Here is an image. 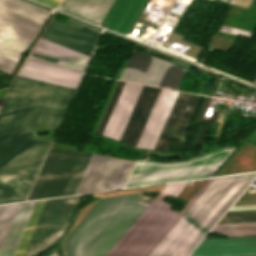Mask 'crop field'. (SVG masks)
<instances>
[{"label": "crop field", "instance_id": "crop-field-1", "mask_svg": "<svg viewBox=\"0 0 256 256\" xmlns=\"http://www.w3.org/2000/svg\"><path fill=\"white\" fill-rule=\"evenodd\" d=\"M73 89L15 77L0 111V204L25 201L51 144L28 137L35 123L59 127Z\"/></svg>", "mask_w": 256, "mask_h": 256}, {"label": "crop field", "instance_id": "crop-field-2", "mask_svg": "<svg viewBox=\"0 0 256 256\" xmlns=\"http://www.w3.org/2000/svg\"><path fill=\"white\" fill-rule=\"evenodd\" d=\"M255 176L208 179L142 256H187Z\"/></svg>", "mask_w": 256, "mask_h": 256}, {"label": "crop field", "instance_id": "crop-field-3", "mask_svg": "<svg viewBox=\"0 0 256 256\" xmlns=\"http://www.w3.org/2000/svg\"><path fill=\"white\" fill-rule=\"evenodd\" d=\"M125 82L119 81L97 129L102 133ZM142 85L125 83L103 135L119 139ZM159 88L142 86L119 141L135 145ZM179 92L161 89L135 146L154 149Z\"/></svg>", "mask_w": 256, "mask_h": 256}, {"label": "crop field", "instance_id": "crop-field-4", "mask_svg": "<svg viewBox=\"0 0 256 256\" xmlns=\"http://www.w3.org/2000/svg\"><path fill=\"white\" fill-rule=\"evenodd\" d=\"M141 193L100 198L66 239L68 256H105L148 204Z\"/></svg>", "mask_w": 256, "mask_h": 256}, {"label": "crop field", "instance_id": "crop-field-5", "mask_svg": "<svg viewBox=\"0 0 256 256\" xmlns=\"http://www.w3.org/2000/svg\"><path fill=\"white\" fill-rule=\"evenodd\" d=\"M50 15L20 0H0V70L12 74Z\"/></svg>", "mask_w": 256, "mask_h": 256}, {"label": "crop field", "instance_id": "crop-field-6", "mask_svg": "<svg viewBox=\"0 0 256 256\" xmlns=\"http://www.w3.org/2000/svg\"><path fill=\"white\" fill-rule=\"evenodd\" d=\"M187 183L167 184L106 256H141L177 214L163 200L176 197Z\"/></svg>", "mask_w": 256, "mask_h": 256}, {"label": "crop field", "instance_id": "crop-field-7", "mask_svg": "<svg viewBox=\"0 0 256 256\" xmlns=\"http://www.w3.org/2000/svg\"><path fill=\"white\" fill-rule=\"evenodd\" d=\"M234 149L225 147L190 161L137 162L126 187L211 177Z\"/></svg>", "mask_w": 256, "mask_h": 256}, {"label": "crop field", "instance_id": "crop-field-8", "mask_svg": "<svg viewBox=\"0 0 256 256\" xmlns=\"http://www.w3.org/2000/svg\"><path fill=\"white\" fill-rule=\"evenodd\" d=\"M81 196L47 200L25 256H35L57 244L80 205Z\"/></svg>", "mask_w": 256, "mask_h": 256}, {"label": "crop field", "instance_id": "crop-field-9", "mask_svg": "<svg viewBox=\"0 0 256 256\" xmlns=\"http://www.w3.org/2000/svg\"><path fill=\"white\" fill-rule=\"evenodd\" d=\"M81 154L51 147L27 200L62 196Z\"/></svg>", "mask_w": 256, "mask_h": 256}, {"label": "crop field", "instance_id": "crop-field-10", "mask_svg": "<svg viewBox=\"0 0 256 256\" xmlns=\"http://www.w3.org/2000/svg\"><path fill=\"white\" fill-rule=\"evenodd\" d=\"M185 71L186 68L134 49L120 79L177 90Z\"/></svg>", "mask_w": 256, "mask_h": 256}, {"label": "crop field", "instance_id": "crop-field-11", "mask_svg": "<svg viewBox=\"0 0 256 256\" xmlns=\"http://www.w3.org/2000/svg\"><path fill=\"white\" fill-rule=\"evenodd\" d=\"M133 163L93 155L75 194L122 188Z\"/></svg>", "mask_w": 256, "mask_h": 256}, {"label": "crop field", "instance_id": "crop-field-12", "mask_svg": "<svg viewBox=\"0 0 256 256\" xmlns=\"http://www.w3.org/2000/svg\"><path fill=\"white\" fill-rule=\"evenodd\" d=\"M201 97L179 93L154 150L166 151L171 139H183Z\"/></svg>", "mask_w": 256, "mask_h": 256}, {"label": "crop field", "instance_id": "crop-field-13", "mask_svg": "<svg viewBox=\"0 0 256 256\" xmlns=\"http://www.w3.org/2000/svg\"><path fill=\"white\" fill-rule=\"evenodd\" d=\"M100 34L70 20L65 24L53 20L42 37L90 55Z\"/></svg>", "mask_w": 256, "mask_h": 256}, {"label": "crop field", "instance_id": "crop-field-14", "mask_svg": "<svg viewBox=\"0 0 256 256\" xmlns=\"http://www.w3.org/2000/svg\"><path fill=\"white\" fill-rule=\"evenodd\" d=\"M44 38L41 37L39 39V41L34 46L33 51L52 57L59 61L57 63H54L31 57L27 58L28 61L55 66L81 73L84 72L87 62L90 58L89 55L78 52L76 50H73L71 48L65 47L63 45L57 44Z\"/></svg>", "mask_w": 256, "mask_h": 256}, {"label": "crop field", "instance_id": "crop-field-15", "mask_svg": "<svg viewBox=\"0 0 256 256\" xmlns=\"http://www.w3.org/2000/svg\"><path fill=\"white\" fill-rule=\"evenodd\" d=\"M191 256H256V236L204 239Z\"/></svg>", "mask_w": 256, "mask_h": 256}, {"label": "crop field", "instance_id": "crop-field-16", "mask_svg": "<svg viewBox=\"0 0 256 256\" xmlns=\"http://www.w3.org/2000/svg\"><path fill=\"white\" fill-rule=\"evenodd\" d=\"M146 0H114L101 26L126 35Z\"/></svg>", "mask_w": 256, "mask_h": 256}, {"label": "crop field", "instance_id": "crop-field-17", "mask_svg": "<svg viewBox=\"0 0 256 256\" xmlns=\"http://www.w3.org/2000/svg\"><path fill=\"white\" fill-rule=\"evenodd\" d=\"M18 76L45 81L69 88H76L82 74L25 61Z\"/></svg>", "mask_w": 256, "mask_h": 256}, {"label": "crop field", "instance_id": "crop-field-18", "mask_svg": "<svg viewBox=\"0 0 256 256\" xmlns=\"http://www.w3.org/2000/svg\"><path fill=\"white\" fill-rule=\"evenodd\" d=\"M35 202L18 204L0 249V256H13Z\"/></svg>", "mask_w": 256, "mask_h": 256}, {"label": "crop field", "instance_id": "crop-field-19", "mask_svg": "<svg viewBox=\"0 0 256 256\" xmlns=\"http://www.w3.org/2000/svg\"><path fill=\"white\" fill-rule=\"evenodd\" d=\"M111 2L112 0H64L58 8L99 24Z\"/></svg>", "mask_w": 256, "mask_h": 256}, {"label": "crop field", "instance_id": "crop-field-20", "mask_svg": "<svg viewBox=\"0 0 256 256\" xmlns=\"http://www.w3.org/2000/svg\"><path fill=\"white\" fill-rule=\"evenodd\" d=\"M46 200L44 201H38L35 203L34 208L32 210V213L30 215V218L28 220V223L26 225V228L23 232V235L21 237V240L19 242V245L17 247V250L15 252L14 256H24V253L26 251V248L28 246V243L30 241V238L32 236V233L34 231V228L36 226V223L38 221V218L40 216V213L42 211V208L44 206Z\"/></svg>", "mask_w": 256, "mask_h": 256}, {"label": "crop field", "instance_id": "crop-field-21", "mask_svg": "<svg viewBox=\"0 0 256 256\" xmlns=\"http://www.w3.org/2000/svg\"><path fill=\"white\" fill-rule=\"evenodd\" d=\"M213 232L226 237L256 235V223L217 225L211 233Z\"/></svg>", "mask_w": 256, "mask_h": 256}, {"label": "crop field", "instance_id": "crop-field-22", "mask_svg": "<svg viewBox=\"0 0 256 256\" xmlns=\"http://www.w3.org/2000/svg\"><path fill=\"white\" fill-rule=\"evenodd\" d=\"M90 158H91L90 154H85V153L82 154L63 196L72 195L75 193Z\"/></svg>", "mask_w": 256, "mask_h": 256}, {"label": "crop field", "instance_id": "crop-field-23", "mask_svg": "<svg viewBox=\"0 0 256 256\" xmlns=\"http://www.w3.org/2000/svg\"><path fill=\"white\" fill-rule=\"evenodd\" d=\"M243 222H256V210L228 212L219 224Z\"/></svg>", "mask_w": 256, "mask_h": 256}, {"label": "crop field", "instance_id": "crop-field-24", "mask_svg": "<svg viewBox=\"0 0 256 256\" xmlns=\"http://www.w3.org/2000/svg\"><path fill=\"white\" fill-rule=\"evenodd\" d=\"M210 100H211V98L208 97L206 102H205V104H204V106H203V108H202V111H201V113H200V115H199V117H198V119L196 121V122H203V124H202L201 129H200V131L198 133V136L196 138L194 146H200L201 145L202 140H203V138L205 136V133L207 131V128H208L210 122L216 121L218 116H219V114H220L218 112H213L211 117H210V120L202 118L204 113H205V111H206V108H207Z\"/></svg>", "mask_w": 256, "mask_h": 256}, {"label": "crop field", "instance_id": "crop-field-25", "mask_svg": "<svg viewBox=\"0 0 256 256\" xmlns=\"http://www.w3.org/2000/svg\"><path fill=\"white\" fill-rule=\"evenodd\" d=\"M17 204L0 206V246Z\"/></svg>", "mask_w": 256, "mask_h": 256}, {"label": "crop field", "instance_id": "crop-field-26", "mask_svg": "<svg viewBox=\"0 0 256 256\" xmlns=\"http://www.w3.org/2000/svg\"><path fill=\"white\" fill-rule=\"evenodd\" d=\"M36 1H39V2L44 3L46 5L52 6L54 8H56L61 2V0H36Z\"/></svg>", "mask_w": 256, "mask_h": 256}, {"label": "crop field", "instance_id": "crop-field-27", "mask_svg": "<svg viewBox=\"0 0 256 256\" xmlns=\"http://www.w3.org/2000/svg\"><path fill=\"white\" fill-rule=\"evenodd\" d=\"M50 256H58V255H56L55 253H52Z\"/></svg>", "mask_w": 256, "mask_h": 256}, {"label": "crop field", "instance_id": "crop-field-28", "mask_svg": "<svg viewBox=\"0 0 256 256\" xmlns=\"http://www.w3.org/2000/svg\"><path fill=\"white\" fill-rule=\"evenodd\" d=\"M3 99H0V107H1V103H2Z\"/></svg>", "mask_w": 256, "mask_h": 256}]
</instances>
